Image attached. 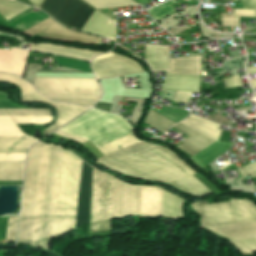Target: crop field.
Returning a JSON list of instances; mask_svg holds the SVG:
<instances>
[{
    "label": "crop field",
    "instance_id": "dafd665d",
    "mask_svg": "<svg viewBox=\"0 0 256 256\" xmlns=\"http://www.w3.org/2000/svg\"><path fill=\"white\" fill-rule=\"evenodd\" d=\"M145 61L152 71H169V46L145 45Z\"/></svg>",
    "mask_w": 256,
    "mask_h": 256
},
{
    "label": "crop field",
    "instance_id": "db79e9e6",
    "mask_svg": "<svg viewBox=\"0 0 256 256\" xmlns=\"http://www.w3.org/2000/svg\"><path fill=\"white\" fill-rule=\"evenodd\" d=\"M249 1V4H250V7L252 9H254L255 13H256V2L255 0H248Z\"/></svg>",
    "mask_w": 256,
    "mask_h": 256
},
{
    "label": "crop field",
    "instance_id": "5866460e",
    "mask_svg": "<svg viewBox=\"0 0 256 256\" xmlns=\"http://www.w3.org/2000/svg\"><path fill=\"white\" fill-rule=\"evenodd\" d=\"M0 135H24L11 117H0Z\"/></svg>",
    "mask_w": 256,
    "mask_h": 256
},
{
    "label": "crop field",
    "instance_id": "028f5c9d",
    "mask_svg": "<svg viewBox=\"0 0 256 256\" xmlns=\"http://www.w3.org/2000/svg\"><path fill=\"white\" fill-rule=\"evenodd\" d=\"M11 116H52L49 109H6Z\"/></svg>",
    "mask_w": 256,
    "mask_h": 256
},
{
    "label": "crop field",
    "instance_id": "214f88e0",
    "mask_svg": "<svg viewBox=\"0 0 256 256\" xmlns=\"http://www.w3.org/2000/svg\"><path fill=\"white\" fill-rule=\"evenodd\" d=\"M161 189L142 186L140 216L160 217Z\"/></svg>",
    "mask_w": 256,
    "mask_h": 256
},
{
    "label": "crop field",
    "instance_id": "eef30255",
    "mask_svg": "<svg viewBox=\"0 0 256 256\" xmlns=\"http://www.w3.org/2000/svg\"><path fill=\"white\" fill-rule=\"evenodd\" d=\"M61 149L56 147L45 248L49 250Z\"/></svg>",
    "mask_w": 256,
    "mask_h": 256
},
{
    "label": "crop field",
    "instance_id": "0bd39190",
    "mask_svg": "<svg viewBox=\"0 0 256 256\" xmlns=\"http://www.w3.org/2000/svg\"><path fill=\"white\" fill-rule=\"evenodd\" d=\"M46 97L98 98L100 93L40 92Z\"/></svg>",
    "mask_w": 256,
    "mask_h": 256
},
{
    "label": "crop field",
    "instance_id": "e1f06a70",
    "mask_svg": "<svg viewBox=\"0 0 256 256\" xmlns=\"http://www.w3.org/2000/svg\"><path fill=\"white\" fill-rule=\"evenodd\" d=\"M158 113L162 114L175 123L183 120L188 114V112L184 110L170 107H163Z\"/></svg>",
    "mask_w": 256,
    "mask_h": 256
},
{
    "label": "crop field",
    "instance_id": "00972430",
    "mask_svg": "<svg viewBox=\"0 0 256 256\" xmlns=\"http://www.w3.org/2000/svg\"><path fill=\"white\" fill-rule=\"evenodd\" d=\"M208 230L230 240L256 237V223L209 228Z\"/></svg>",
    "mask_w": 256,
    "mask_h": 256
},
{
    "label": "crop field",
    "instance_id": "92a150f3",
    "mask_svg": "<svg viewBox=\"0 0 256 256\" xmlns=\"http://www.w3.org/2000/svg\"><path fill=\"white\" fill-rule=\"evenodd\" d=\"M48 145L43 144L31 245L37 246Z\"/></svg>",
    "mask_w": 256,
    "mask_h": 256
},
{
    "label": "crop field",
    "instance_id": "d1516ede",
    "mask_svg": "<svg viewBox=\"0 0 256 256\" xmlns=\"http://www.w3.org/2000/svg\"><path fill=\"white\" fill-rule=\"evenodd\" d=\"M91 177L92 167L83 162L75 228L89 222Z\"/></svg>",
    "mask_w": 256,
    "mask_h": 256
},
{
    "label": "crop field",
    "instance_id": "120bbe31",
    "mask_svg": "<svg viewBox=\"0 0 256 256\" xmlns=\"http://www.w3.org/2000/svg\"><path fill=\"white\" fill-rule=\"evenodd\" d=\"M0 81L17 85L21 90L20 95L37 93L33 86L14 75L0 73Z\"/></svg>",
    "mask_w": 256,
    "mask_h": 256
},
{
    "label": "crop field",
    "instance_id": "a9b5d70f",
    "mask_svg": "<svg viewBox=\"0 0 256 256\" xmlns=\"http://www.w3.org/2000/svg\"><path fill=\"white\" fill-rule=\"evenodd\" d=\"M172 127L190 135L187 139H185L177 147L183 149L184 151H186L192 155L195 154L196 152H198L199 150H201L202 148L206 147L210 143L214 142L180 123H178Z\"/></svg>",
    "mask_w": 256,
    "mask_h": 256
},
{
    "label": "crop field",
    "instance_id": "5d738f31",
    "mask_svg": "<svg viewBox=\"0 0 256 256\" xmlns=\"http://www.w3.org/2000/svg\"><path fill=\"white\" fill-rule=\"evenodd\" d=\"M52 22H54V21L48 18L21 33L31 37L34 34H36L37 32H39L40 30H42L43 28H45L46 26H48L49 24H51Z\"/></svg>",
    "mask_w": 256,
    "mask_h": 256
},
{
    "label": "crop field",
    "instance_id": "447ae74e",
    "mask_svg": "<svg viewBox=\"0 0 256 256\" xmlns=\"http://www.w3.org/2000/svg\"><path fill=\"white\" fill-rule=\"evenodd\" d=\"M7 99H9V95L4 92H0V101L7 100Z\"/></svg>",
    "mask_w": 256,
    "mask_h": 256
},
{
    "label": "crop field",
    "instance_id": "dd49c442",
    "mask_svg": "<svg viewBox=\"0 0 256 256\" xmlns=\"http://www.w3.org/2000/svg\"><path fill=\"white\" fill-rule=\"evenodd\" d=\"M40 9L57 22L79 31L95 10L81 0H43Z\"/></svg>",
    "mask_w": 256,
    "mask_h": 256
},
{
    "label": "crop field",
    "instance_id": "7b73153f",
    "mask_svg": "<svg viewBox=\"0 0 256 256\" xmlns=\"http://www.w3.org/2000/svg\"><path fill=\"white\" fill-rule=\"evenodd\" d=\"M35 7H39L42 0H29Z\"/></svg>",
    "mask_w": 256,
    "mask_h": 256
},
{
    "label": "crop field",
    "instance_id": "28ad6ade",
    "mask_svg": "<svg viewBox=\"0 0 256 256\" xmlns=\"http://www.w3.org/2000/svg\"><path fill=\"white\" fill-rule=\"evenodd\" d=\"M141 186L116 180L114 218L139 214Z\"/></svg>",
    "mask_w": 256,
    "mask_h": 256
},
{
    "label": "crop field",
    "instance_id": "1d79db26",
    "mask_svg": "<svg viewBox=\"0 0 256 256\" xmlns=\"http://www.w3.org/2000/svg\"><path fill=\"white\" fill-rule=\"evenodd\" d=\"M0 106H2L3 108H29V107H23V106H19V105H13L10 102V100L0 102Z\"/></svg>",
    "mask_w": 256,
    "mask_h": 256
},
{
    "label": "crop field",
    "instance_id": "9d1cf04e",
    "mask_svg": "<svg viewBox=\"0 0 256 256\" xmlns=\"http://www.w3.org/2000/svg\"><path fill=\"white\" fill-rule=\"evenodd\" d=\"M30 8L31 7L25 6V7L21 8V9L15 11L14 13L4 17V19H6L8 21L10 18H12V17H14V16H16V15H18V14H20V13H22V12L28 10V9H30Z\"/></svg>",
    "mask_w": 256,
    "mask_h": 256
},
{
    "label": "crop field",
    "instance_id": "5142ce71",
    "mask_svg": "<svg viewBox=\"0 0 256 256\" xmlns=\"http://www.w3.org/2000/svg\"><path fill=\"white\" fill-rule=\"evenodd\" d=\"M24 102H45L57 109V118L54 124L62 126L78 116L88 108H82L70 104L53 103L39 94L21 96Z\"/></svg>",
    "mask_w": 256,
    "mask_h": 256
},
{
    "label": "crop field",
    "instance_id": "d3111659",
    "mask_svg": "<svg viewBox=\"0 0 256 256\" xmlns=\"http://www.w3.org/2000/svg\"><path fill=\"white\" fill-rule=\"evenodd\" d=\"M37 142L33 137L27 136H0V148H28Z\"/></svg>",
    "mask_w": 256,
    "mask_h": 256
},
{
    "label": "crop field",
    "instance_id": "4a817a6b",
    "mask_svg": "<svg viewBox=\"0 0 256 256\" xmlns=\"http://www.w3.org/2000/svg\"><path fill=\"white\" fill-rule=\"evenodd\" d=\"M28 51L12 48L11 51L0 50V71L23 76Z\"/></svg>",
    "mask_w": 256,
    "mask_h": 256
},
{
    "label": "crop field",
    "instance_id": "0765c3eb",
    "mask_svg": "<svg viewBox=\"0 0 256 256\" xmlns=\"http://www.w3.org/2000/svg\"><path fill=\"white\" fill-rule=\"evenodd\" d=\"M58 127L59 126L54 125V126L48 128V129L44 130L43 133L46 135V134L50 133L51 131L55 130L56 128H58Z\"/></svg>",
    "mask_w": 256,
    "mask_h": 256
},
{
    "label": "crop field",
    "instance_id": "bd1437ed",
    "mask_svg": "<svg viewBox=\"0 0 256 256\" xmlns=\"http://www.w3.org/2000/svg\"><path fill=\"white\" fill-rule=\"evenodd\" d=\"M144 123L154 127L155 129H157L163 133L171 125L175 124V123L171 122L170 120L166 119L165 117H163L162 115H160L152 110H149Z\"/></svg>",
    "mask_w": 256,
    "mask_h": 256
},
{
    "label": "crop field",
    "instance_id": "73cf0c24",
    "mask_svg": "<svg viewBox=\"0 0 256 256\" xmlns=\"http://www.w3.org/2000/svg\"><path fill=\"white\" fill-rule=\"evenodd\" d=\"M225 88L234 87V86H241L243 85L240 79V76H234L223 79Z\"/></svg>",
    "mask_w": 256,
    "mask_h": 256
},
{
    "label": "crop field",
    "instance_id": "89e229c0",
    "mask_svg": "<svg viewBox=\"0 0 256 256\" xmlns=\"http://www.w3.org/2000/svg\"><path fill=\"white\" fill-rule=\"evenodd\" d=\"M222 26H234L233 14H221Z\"/></svg>",
    "mask_w": 256,
    "mask_h": 256
},
{
    "label": "crop field",
    "instance_id": "c035e120",
    "mask_svg": "<svg viewBox=\"0 0 256 256\" xmlns=\"http://www.w3.org/2000/svg\"><path fill=\"white\" fill-rule=\"evenodd\" d=\"M25 5L8 1V0H0V15L3 17Z\"/></svg>",
    "mask_w": 256,
    "mask_h": 256
},
{
    "label": "crop field",
    "instance_id": "425ffa30",
    "mask_svg": "<svg viewBox=\"0 0 256 256\" xmlns=\"http://www.w3.org/2000/svg\"><path fill=\"white\" fill-rule=\"evenodd\" d=\"M238 171L241 173L242 177L249 175H251L252 177H256V162L238 168Z\"/></svg>",
    "mask_w": 256,
    "mask_h": 256
},
{
    "label": "crop field",
    "instance_id": "22f410ed",
    "mask_svg": "<svg viewBox=\"0 0 256 256\" xmlns=\"http://www.w3.org/2000/svg\"><path fill=\"white\" fill-rule=\"evenodd\" d=\"M37 35L48 39L79 41L85 44H96L99 43L101 40L100 38L92 37L89 35H85L79 32L66 29L55 22Z\"/></svg>",
    "mask_w": 256,
    "mask_h": 256
},
{
    "label": "crop field",
    "instance_id": "cbeb9de0",
    "mask_svg": "<svg viewBox=\"0 0 256 256\" xmlns=\"http://www.w3.org/2000/svg\"><path fill=\"white\" fill-rule=\"evenodd\" d=\"M55 147L49 145L38 246L44 248Z\"/></svg>",
    "mask_w": 256,
    "mask_h": 256
},
{
    "label": "crop field",
    "instance_id": "750c4746",
    "mask_svg": "<svg viewBox=\"0 0 256 256\" xmlns=\"http://www.w3.org/2000/svg\"><path fill=\"white\" fill-rule=\"evenodd\" d=\"M137 142H141L138 140L135 136V133L128 135L126 137H123L121 139H118L114 142H111L109 144H106L104 146H101L97 148L104 156L111 154L115 151H118L120 149H123L125 147H128L132 144H135Z\"/></svg>",
    "mask_w": 256,
    "mask_h": 256
},
{
    "label": "crop field",
    "instance_id": "34b2d1b8",
    "mask_svg": "<svg viewBox=\"0 0 256 256\" xmlns=\"http://www.w3.org/2000/svg\"><path fill=\"white\" fill-rule=\"evenodd\" d=\"M59 130L86 139L96 147L133 133L122 117L90 109Z\"/></svg>",
    "mask_w": 256,
    "mask_h": 256
},
{
    "label": "crop field",
    "instance_id": "c21b1889",
    "mask_svg": "<svg viewBox=\"0 0 256 256\" xmlns=\"http://www.w3.org/2000/svg\"><path fill=\"white\" fill-rule=\"evenodd\" d=\"M18 217H9L5 242L15 241Z\"/></svg>",
    "mask_w": 256,
    "mask_h": 256
},
{
    "label": "crop field",
    "instance_id": "e1d0b9f6",
    "mask_svg": "<svg viewBox=\"0 0 256 256\" xmlns=\"http://www.w3.org/2000/svg\"><path fill=\"white\" fill-rule=\"evenodd\" d=\"M236 8H242L240 1H235Z\"/></svg>",
    "mask_w": 256,
    "mask_h": 256
},
{
    "label": "crop field",
    "instance_id": "25e5ab78",
    "mask_svg": "<svg viewBox=\"0 0 256 256\" xmlns=\"http://www.w3.org/2000/svg\"><path fill=\"white\" fill-rule=\"evenodd\" d=\"M25 154H0V161H24Z\"/></svg>",
    "mask_w": 256,
    "mask_h": 256
},
{
    "label": "crop field",
    "instance_id": "3316defc",
    "mask_svg": "<svg viewBox=\"0 0 256 256\" xmlns=\"http://www.w3.org/2000/svg\"><path fill=\"white\" fill-rule=\"evenodd\" d=\"M38 91L100 92L95 79L35 78Z\"/></svg>",
    "mask_w": 256,
    "mask_h": 256
},
{
    "label": "crop field",
    "instance_id": "d23c7cc5",
    "mask_svg": "<svg viewBox=\"0 0 256 256\" xmlns=\"http://www.w3.org/2000/svg\"><path fill=\"white\" fill-rule=\"evenodd\" d=\"M235 27L239 26V17H256L253 10L248 9H233Z\"/></svg>",
    "mask_w": 256,
    "mask_h": 256
},
{
    "label": "crop field",
    "instance_id": "730fd06b",
    "mask_svg": "<svg viewBox=\"0 0 256 256\" xmlns=\"http://www.w3.org/2000/svg\"><path fill=\"white\" fill-rule=\"evenodd\" d=\"M183 199L162 189V203L161 216H168L171 218L183 217L181 206Z\"/></svg>",
    "mask_w": 256,
    "mask_h": 256
},
{
    "label": "crop field",
    "instance_id": "4177f3b9",
    "mask_svg": "<svg viewBox=\"0 0 256 256\" xmlns=\"http://www.w3.org/2000/svg\"><path fill=\"white\" fill-rule=\"evenodd\" d=\"M201 56L170 59V74H200Z\"/></svg>",
    "mask_w": 256,
    "mask_h": 256
},
{
    "label": "crop field",
    "instance_id": "e52e79f7",
    "mask_svg": "<svg viewBox=\"0 0 256 256\" xmlns=\"http://www.w3.org/2000/svg\"><path fill=\"white\" fill-rule=\"evenodd\" d=\"M191 129L203 134L204 136L216 141L219 139L221 130L217 129L219 124L200 118L195 115H188V117L180 122ZM232 143L217 141L207 146L197 154L189 158L199 168H204L210 162L215 160L218 156L224 153Z\"/></svg>",
    "mask_w": 256,
    "mask_h": 256
},
{
    "label": "crop field",
    "instance_id": "0f1d7ab4",
    "mask_svg": "<svg viewBox=\"0 0 256 256\" xmlns=\"http://www.w3.org/2000/svg\"><path fill=\"white\" fill-rule=\"evenodd\" d=\"M0 116H9L5 110L0 109Z\"/></svg>",
    "mask_w": 256,
    "mask_h": 256
},
{
    "label": "crop field",
    "instance_id": "f4fd0767",
    "mask_svg": "<svg viewBox=\"0 0 256 256\" xmlns=\"http://www.w3.org/2000/svg\"><path fill=\"white\" fill-rule=\"evenodd\" d=\"M42 144L28 152L21 219L17 241L30 245Z\"/></svg>",
    "mask_w": 256,
    "mask_h": 256
},
{
    "label": "crop field",
    "instance_id": "78b8030e",
    "mask_svg": "<svg viewBox=\"0 0 256 256\" xmlns=\"http://www.w3.org/2000/svg\"><path fill=\"white\" fill-rule=\"evenodd\" d=\"M246 71L247 73H256V67H247Z\"/></svg>",
    "mask_w": 256,
    "mask_h": 256
},
{
    "label": "crop field",
    "instance_id": "1f2cbd36",
    "mask_svg": "<svg viewBox=\"0 0 256 256\" xmlns=\"http://www.w3.org/2000/svg\"><path fill=\"white\" fill-rule=\"evenodd\" d=\"M192 93L178 92L175 99L176 101L188 103Z\"/></svg>",
    "mask_w": 256,
    "mask_h": 256
},
{
    "label": "crop field",
    "instance_id": "8a807250",
    "mask_svg": "<svg viewBox=\"0 0 256 256\" xmlns=\"http://www.w3.org/2000/svg\"><path fill=\"white\" fill-rule=\"evenodd\" d=\"M98 164L121 174L170 183L194 196L210 193L192 176L196 171L172 153L144 142L99 159Z\"/></svg>",
    "mask_w": 256,
    "mask_h": 256
},
{
    "label": "crop field",
    "instance_id": "d9b57169",
    "mask_svg": "<svg viewBox=\"0 0 256 256\" xmlns=\"http://www.w3.org/2000/svg\"><path fill=\"white\" fill-rule=\"evenodd\" d=\"M30 49L45 52V53L85 60V61H90L94 56L102 53V52L83 50V49H77V48H71V47H65V46H58V45H52V44H46V43H40V44L30 43Z\"/></svg>",
    "mask_w": 256,
    "mask_h": 256
},
{
    "label": "crop field",
    "instance_id": "b80d0937",
    "mask_svg": "<svg viewBox=\"0 0 256 256\" xmlns=\"http://www.w3.org/2000/svg\"><path fill=\"white\" fill-rule=\"evenodd\" d=\"M235 248L244 253H253L256 251V239H246L230 242Z\"/></svg>",
    "mask_w": 256,
    "mask_h": 256
},
{
    "label": "crop field",
    "instance_id": "d32e631a",
    "mask_svg": "<svg viewBox=\"0 0 256 256\" xmlns=\"http://www.w3.org/2000/svg\"><path fill=\"white\" fill-rule=\"evenodd\" d=\"M175 3H177V2L174 0H169L166 3L149 10L148 12L150 13L151 17L155 21H157V20L175 12L174 8L171 6Z\"/></svg>",
    "mask_w": 256,
    "mask_h": 256
},
{
    "label": "crop field",
    "instance_id": "733c2abd",
    "mask_svg": "<svg viewBox=\"0 0 256 256\" xmlns=\"http://www.w3.org/2000/svg\"><path fill=\"white\" fill-rule=\"evenodd\" d=\"M82 31L100 35L116 42V20L111 21L96 10Z\"/></svg>",
    "mask_w": 256,
    "mask_h": 256
},
{
    "label": "crop field",
    "instance_id": "5a996713",
    "mask_svg": "<svg viewBox=\"0 0 256 256\" xmlns=\"http://www.w3.org/2000/svg\"><path fill=\"white\" fill-rule=\"evenodd\" d=\"M92 68L97 79L144 71L136 62L112 52L92 60Z\"/></svg>",
    "mask_w": 256,
    "mask_h": 256
},
{
    "label": "crop field",
    "instance_id": "03da06ac",
    "mask_svg": "<svg viewBox=\"0 0 256 256\" xmlns=\"http://www.w3.org/2000/svg\"><path fill=\"white\" fill-rule=\"evenodd\" d=\"M16 123L41 124L51 121L52 117H13Z\"/></svg>",
    "mask_w": 256,
    "mask_h": 256
},
{
    "label": "crop field",
    "instance_id": "bc2a9ffb",
    "mask_svg": "<svg viewBox=\"0 0 256 256\" xmlns=\"http://www.w3.org/2000/svg\"><path fill=\"white\" fill-rule=\"evenodd\" d=\"M162 90L200 92V75L165 74Z\"/></svg>",
    "mask_w": 256,
    "mask_h": 256
},
{
    "label": "crop field",
    "instance_id": "1d83c4d3",
    "mask_svg": "<svg viewBox=\"0 0 256 256\" xmlns=\"http://www.w3.org/2000/svg\"><path fill=\"white\" fill-rule=\"evenodd\" d=\"M83 1L95 9L138 5L132 0H83Z\"/></svg>",
    "mask_w": 256,
    "mask_h": 256
},
{
    "label": "crop field",
    "instance_id": "ae1a2a85",
    "mask_svg": "<svg viewBox=\"0 0 256 256\" xmlns=\"http://www.w3.org/2000/svg\"><path fill=\"white\" fill-rule=\"evenodd\" d=\"M231 201L236 221L256 218V208L250 203L236 199Z\"/></svg>",
    "mask_w": 256,
    "mask_h": 256
},
{
    "label": "crop field",
    "instance_id": "b54c1fbb",
    "mask_svg": "<svg viewBox=\"0 0 256 256\" xmlns=\"http://www.w3.org/2000/svg\"><path fill=\"white\" fill-rule=\"evenodd\" d=\"M59 102H69L81 106H91L97 99H72V98H49Z\"/></svg>",
    "mask_w": 256,
    "mask_h": 256
},
{
    "label": "crop field",
    "instance_id": "dbb93151",
    "mask_svg": "<svg viewBox=\"0 0 256 256\" xmlns=\"http://www.w3.org/2000/svg\"><path fill=\"white\" fill-rule=\"evenodd\" d=\"M7 218L8 217H5L3 222H0V243L4 242L6 226H7Z\"/></svg>",
    "mask_w": 256,
    "mask_h": 256
},
{
    "label": "crop field",
    "instance_id": "ac0d7876",
    "mask_svg": "<svg viewBox=\"0 0 256 256\" xmlns=\"http://www.w3.org/2000/svg\"><path fill=\"white\" fill-rule=\"evenodd\" d=\"M82 160L62 149L52 236L74 228Z\"/></svg>",
    "mask_w": 256,
    "mask_h": 256
},
{
    "label": "crop field",
    "instance_id": "ae633e8c",
    "mask_svg": "<svg viewBox=\"0 0 256 256\" xmlns=\"http://www.w3.org/2000/svg\"><path fill=\"white\" fill-rule=\"evenodd\" d=\"M250 82H251L253 88H256V80H250Z\"/></svg>",
    "mask_w": 256,
    "mask_h": 256
},
{
    "label": "crop field",
    "instance_id": "0fb4a251",
    "mask_svg": "<svg viewBox=\"0 0 256 256\" xmlns=\"http://www.w3.org/2000/svg\"><path fill=\"white\" fill-rule=\"evenodd\" d=\"M54 134H57V135H60V136L66 137V138H70V139H73V140H76V141H79V142H82V143L88 142V141H85L83 139L77 138L75 136L69 135L67 133L61 132L59 130L55 131Z\"/></svg>",
    "mask_w": 256,
    "mask_h": 256
},
{
    "label": "crop field",
    "instance_id": "412701ff",
    "mask_svg": "<svg viewBox=\"0 0 256 256\" xmlns=\"http://www.w3.org/2000/svg\"><path fill=\"white\" fill-rule=\"evenodd\" d=\"M115 179L93 169L89 231L112 230Z\"/></svg>",
    "mask_w": 256,
    "mask_h": 256
},
{
    "label": "crop field",
    "instance_id": "d8731c3e",
    "mask_svg": "<svg viewBox=\"0 0 256 256\" xmlns=\"http://www.w3.org/2000/svg\"><path fill=\"white\" fill-rule=\"evenodd\" d=\"M189 208L200 215V223L202 226H199V229L213 226L256 222V219L235 222L230 200L223 203L213 204H207L206 201H199L189 205Z\"/></svg>",
    "mask_w": 256,
    "mask_h": 256
}]
</instances>
